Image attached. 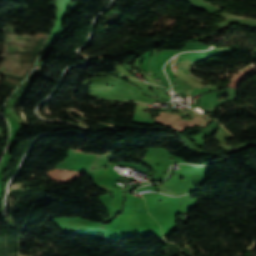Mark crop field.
Listing matches in <instances>:
<instances>
[{
	"label": "crop field",
	"instance_id": "1",
	"mask_svg": "<svg viewBox=\"0 0 256 256\" xmlns=\"http://www.w3.org/2000/svg\"><path fill=\"white\" fill-rule=\"evenodd\" d=\"M127 97L132 98V96H131V94H130V93H128ZM134 101H136V100H134Z\"/></svg>",
	"mask_w": 256,
	"mask_h": 256
},
{
	"label": "crop field",
	"instance_id": "2",
	"mask_svg": "<svg viewBox=\"0 0 256 256\" xmlns=\"http://www.w3.org/2000/svg\"><path fill=\"white\" fill-rule=\"evenodd\" d=\"M176 61H177V58H176ZM176 61H175V66H176ZM178 61H179V57H178ZM177 65H178V62H177ZM173 66H174V62H173Z\"/></svg>",
	"mask_w": 256,
	"mask_h": 256
}]
</instances>
